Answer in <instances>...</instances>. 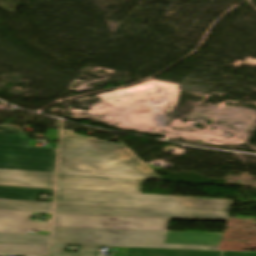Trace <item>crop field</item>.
I'll use <instances>...</instances> for the list:
<instances>
[{"label": "crop field", "instance_id": "crop-field-1", "mask_svg": "<svg viewBox=\"0 0 256 256\" xmlns=\"http://www.w3.org/2000/svg\"><path fill=\"white\" fill-rule=\"evenodd\" d=\"M58 173L163 180L123 146L62 130Z\"/></svg>", "mask_w": 256, "mask_h": 256}, {"label": "crop field", "instance_id": "crop-field-2", "mask_svg": "<svg viewBox=\"0 0 256 256\" xmlns=\"http://www.w3.org/2000/svg\"><path fill=\"white\" fill-rule=\"evenodd\" d=\"M222 234L53 227L52 244L217 250Z\"/></svg>", "mask_w": 256, "mask_h": 256}, {"label": "crop field", "instance_id": "crop-field-3", "mask_svg": "<svg viewBox=\"0 0 256 256\" xmlns=\"http://www.w3.org/2000/svg\"><path fill=\"white\" fill-rule=\"evenodd\" d=\"M55 202L228 213L233 201L57 189Z\"/></svg>", "mask_w": 256, "mask_h": 256}, {"label": "crop field", "instance_id": "crop-field-4", "mask_svg": "<svg viewBox=\"0 0 256 256\" xmlns=\"http://www.w3.org/2000/svg\"><path fill=\"white\" fill-rule=\"evenodd\" d=\"M27 144V136L0 134V169L54 173L56 149Z\"/></svg>", "mask_w": 256, "mask_h": 256}, {"label": "crop field", "instance_id": "crop-field-5", "mask_svg": "<svg viewBox=\"0 0 256 256\" xmlns=\"http://www.w3.org/2000/svg\"><path fill=\"white\" fill-rule=\"evenodd\" d=\"M54 214L225 221L228 214L55 203Z\"/></svg>", "mask_w": 256, "mask_h": 256}, {"label": "crop field", "instance_id": "crop-field-6", "mask_svg": "<svg viewBox=\"0 0 256 256\" xmlns=\"http://www.w3.org/2000/svg\"><path fill=\"white\" fill-rule=\"evenodd\" d=\"M168 220L54 215L53 226L167 230Z\"/></svg>", "mask_w": 256, "mask_h": 256}, {"label": "crop field", "instance_id": "crop-field-7", "mask_svg": "<svg viewBox=\"0 0 256 256\" xmlns=\"http://www.w3.org/2000/svg\"><path fill=\"white\" fill-rule=\"evenodd\" d=\"M144 180L58 174L57 188L141 194Z\"/></svg>", "mask_w": 256, "mask_h": 256}, {"label": "crop field", "instance_id": "crop-field-8", "mask_svg": "<svg viewBox=\"0 0 256 256\" xmlns=\"http://www.w3.org/2000/svg\"><path fill=\"white\" fill-rule=\"evenodd\" d=\"M31 214L45 215V219L50 218V214L0 211V232L33 234L27 233V229L49 230L50 221L45 220V223L30 222ZM38 234L49 235V232L39 231Z\"/></svg>", "mask_w": 256, "mask_h": 256}, {"label": "crop field", "instance_id": "crop-field-9", "mask_svg": "<svg viewBox=\"0 0 256 256\" xmlns=\"http://www.w3.org/2000/svg\"><path fill=\"white\" fill-rule=\"evenodd\" d=\"M0 184L54 187V174L0 170Z\"/></svg>", "mask_w": 256, "mask_h": 256}, {"label": "crop field", "instance_id": "crop-field-10", "mask_svg": "<svg viewBox=\"0 0 256 256\" xmlns=\"http://www.w3.org/2000/svg\"><path fill=\"white\" fill-rule=\"evenodd\" d=\"M127 256H256L254 252H202L129 248Z\"/></svg>", "mask_w": 256, "mask_h": 256}, {"label": "crop field", "instance_id": "crop-field-11", "mask_svg": "<svg viewBox=\"0 0 256 256\" xmlns=\"http://www.w3.org/2000/svg\"><path fill=\"white\" fill-rule=\"evenodd\" d=\"M51 189L4 187L0 186V199L7 200H37L38 194L52 195Z\"/></svg>", "mask_w": 256, "mask_h": 256}, {"label": "crop field", "instance_id": "crop-field-12", "mask_svg": "<svg viewBox=\"0 0 256 256\" xmlns=\"http://www.w3.org/2000/svg\"><path fill=\"white\" fill-rule=\"evenodd\" d=\"M51 203L0 200V210L50 213Z\"/></svg>", "mask_w": 256, "mask_h": 256}, {"label": "crop field", "instance_id": "crop-field-13", "mask_svg": "<svg viewBox=\"0 0 256 256\" xmlns=\"http://www.w3.org/2000/svg\"><path fill=\"white\" fill-rule=\"evenodd\" d=\"M48 245H28V244H0V253L46 256Z\"/></svg>", "mask_w": 256, "mask_h": 256}, {"label": "crop field", "instance_id": "crop-field-14", "mask_svg": "<svg viewBox=\"0 0 256 256\" xmlns=\"http://www.w3.org/2000/svg\"><path fill=\"white\" fill-rule=\"evenodd\" d=\"M49 236L1 234L0 243L48 244Z\"/></svg>", "mask_w": 256, "mask_h": 256}, {"label": "crop field", "instance_id": "crop-field-15", "mask_svg": "<svg viewBox=\"0 0 256 256\" xmlns=\"http://www.w3.org/2000/svg\"><path fill=\"white\" fill-rule=\"evenodd\" d=\"M66 247H52L50 256H96V247H81L79 253H65Z\"/></svg>", "mask_w": 256, "mask_h": 256}, {"label": "crop field", "instance_id": "crop-field-16", "mask_svg": "<svg viewBox=\"0 0 256 256\" xmlns=\"http://www.w3.org/2000/svg\"><path fill=\"white\" fill-rule=\"evenodd\" d=\"M0 133L25 135L19 127L0 126Z\"/></svg>", "mask_w": 256, "mask_h": 256}, {"label": "crop field", "instance_id": "crop-field-17", "mask_svg": "<svg viewBox=\"0 0 256 256\" xmlns=\"http://www.w3.org/2000/svg\"><path fill=\"white\" fill-rule=\"evenodd\" d=\"M122 253L115 254L113 256H126L128 248H119Z\"/></svg>", "mask_w": 256, "mask_h": 256}, {"label": "crop field", "instance_id": "crop-field-18", "mask_svg": "<svg viewBox=\"0 0 256 256\" xmlns=\"http://www.w3.org/2000/svg\"><path fill=\"white\" fill-rule=\"evenodd\" d=\"M0 256H4V255H0Z\"/></svg>", "mask_w": 256, "mask_h": 256}]
</instances>
